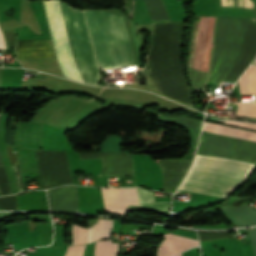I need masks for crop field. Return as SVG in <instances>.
<instances>
[{"mask_svg":"<svg viewBox=\"0 0 256 256\" xmlns=\"http://www.w3.org/2000/svg\"><path fill=\"white\" fill-rule=\"evenodd\" d=\"M118 244L111 243V240L97 241L94 256H116Z\"/></svg>","mask_w":256,"mask_h":256,"instance_id":"obj_17","label":"crop field"},{"mask_svg":"<svg viewBox=\"0 0 256 256\" xmlns=\"http://www.w3.org/2000/svg\"><path fill=\"white\" fill-rule=\"evenodd\" d=\"M232 158L256 163V143L234 139Z\"/></svg>","mask_w":256,"mask_h":256,"instance_id":"obj_13","label":"crop field"},{"mask_svg":"<svg viewBox=\"0 0 256 256\" xmlns=\"http://www.w3.org/2000/svg\"><path fill=\"white\" fill-rule=\"evenodd\" d=\"M155 161L162 170V191L174 192L184 177L192 160L164 159Z\"/></svg>","mask_w":256,"mask_h":256,"instance_id":"obj_7","label":"crop field"},{"mask_svg":"<svg viewBox=\"0 0 256 256\" xmlns=\"http://www.w3.org/2000/svg\"><path fill=\"white\" fill-rule=\"evenodd\" d=\"M164 238L158 247L157 256H172L191 247L198 246L196 240L181 236L165 234Z\"/></svg>","mask_w":256,"mask_h":256,"instance_id":"obj_11","label":"crop field"},{"mask_svg":"<svg viewBox=\"0 0 256 256\" xmlns=\"http://www.w3.org/2000/svg\"><path fill=\"white\" fill-rule=\"evenodd\" d=\"M158 119L173 121L185 126L192 134V145L196 146L202 121L189 118L183 115H162L159 114Z\"/></svg>","mask_w":256,"mask_h":256,"instance_id":"obj_12","label":"crop field"},{"mask_svg":"<svg viewBox=\"0 0 256 256\" xmlns=\"http://www.w3.org/2000/svg\"><path fill=\"white\" fill-rule=\"evenodd\" d=\"M12 170H13V174H14V178H15V182H16L18 192L22 191V190H25V188L23 186V183H22L21 175H20V172H19L18 164L13 166Z\"/></svg>","mask_w":256,"mask_h":256,"instance_id":"obj_21","label":"crop field"},{"mask_svg":"<svg viewBox=\"0 0 256 256\" xmlns=\"http://www.w3.org/2000/svg\"><path fill=\"white\" fill-rule=\"evenodd\" d=\"M2 33L5 39L7 49L14 48L16 45V36H15L14 30L11 29L7 31H3Z\"/></svg>","mask_w":256,"mask_h":256,"instance_id":"obj_20","label":"crop field"},{"mask_svg":"<svg viewBox=\"0 0 256 256\" xmlns=\"http://www.w3.org/2000/svg\"><path fill=\"white\" fill-rule=\"evenodd\" d=\"M23 194H26V192L24 191V192H22V193H19V194H17V196H21V195H23Z\"/></svg>","mask_w":256,"mask_h":256,"instance_id":"obj_26","label":"crop field"},{"mask_svg":"<svg viewBox=\"0 0 256 256\" xmlns=\"http://www.w3.org/2000/svg\"><path fill=\"white\" fill-rule=\"evenodd\" d=\"M7 151H8V154H9L11 165L13 166L14 164L17 163V157H16L17 152L13 153V149L11 147H7Z\"/></svg>","mask_w":256,"mask_h":256,"instance_id":"obj_24","label":"crop field"},{"mask_svg":"<svg viewBox=\"0 0 256 256\" xmlns=\"http://www.w3.org/2000/svg\"><path fill=\"white\" fill-rule=\"evenodd\" d=\"M4 48H6V47H5V43H4L2 33H1V30H0V49H4Z\"/></svg>","mask_w":256,"mask_h":256,"instance_id":"obj_25","label":"crop field"},{"mask_svg":"<svg viewBox=\"0 0 256 256\" xmlns=\"http://www.w3.org/2000/svg\"><path fill=\"white\" fill-rule=\"evenodd\" d=\"M256 54V19L251 18L236 62L224 80H236Z\"/></svg>","mask_w":256,"mask_h":256,"instance_id":"obj_5","label":"crop field"},{"mask_svg":"<svg viewBox=\"0 0 256 256\" xmlns=\"http://www.w3.org/2000/svg\"><path fill=\"white\" fill-rule=\"evenodd\" d=\"M85 245L81 246H69L67 253L65 256H83Z\"/></svg>","mask_w":256,"mask_h":256,"instance_id":"obj_22","label":"crop field"},{"mask_svg":"<svg viewBox=\"0 0 256 256\" xmlns=\"http://www.w3.org/2000/svg\"><path fill=\"white\" fill-rule=\"evenodd\" d=\"M231 146L232 138L202 131L197 154L230 158Z\"/></svg>","mask_w":256,"mask_h":256,"instance_id":"obj_9","label":"crop field"},{"mask_svg":"<svg viewBox=\"0 0 256 256\" xmlns=\"http://www.w3.org/2000/svg\"><path fill=\"white\" fill-rule=\"evenodd\" d=\"M196 164L250 172L253 164L197 155ZM193 164L179 189L225 197L236 189L248 173ZM248 176V175H247Z\"/></svg>","mask_w":256,"mask_h":256,"instance_id":"obj_3","label":"crop field"},{"mask_svg":"<svg viewBox=\"0 0 256 256\" xmlns=\"http://www.w3.org/2000/svg\"><path fill=\"white\" fill-rule=\"evenodd\" d=\"M18 59L55 57L50 40L18 41Z\"/></svg>","mask_w":256,"mask_h":256,"instance_id":"obj_10","label":"crop field"},{"mask_svg":"<svg viewBox=\"0 0 256 256\" xmlns=\"http://www.w3.org/2000/svg\"><path fill=\"white\" fill-rule=\"evenodd\" d=\"M100 67L136 65L121 16L84 10Z\"/></svg>","mask_w":256,"mask_h":256,"instance_id":"obj_2","label":"crop field"},{"mask_svg":"<svg viewBox=\"0 0 256 256\" xmlns=\"http://www.w3.org/2000/svg\"><path fill=\"white\" fill-rule=\"evenodd\" d=\"M203 130H208L210 132L217 133V134H226L230 136H235L239 138L256 141V133L238 129V128L227 127V126L216 125V124L205 122Z\"/></svg>","mask_w":256,"mask_h":256,"instance_id":"obj_14","label":"crop field"},{"mask_svg":"<svg viewBox=\"0 0 256 256\" xmlns=\"http://www.w3.org/2000/svg\"><path fill=\"white\" fill-rule=\"evenodd\" d=\"M105 210L127 214V205H139L136 188H101Z\"/></svg>","mask_w":256,"mask_h":256,"instance_id":"obj_6","label":"crop field"},{"mask_svg":"<svg viewBox=\"0 0 256 256\" xmlns=\"http://www.w3.org/2000/svg\"><path fill=\"white\" fill-rule=\"evenodd\" d=\"M225 123L256 130V125L255 124H248V123L229 121V120H226Z\"/></svg>","mask_w":256,"mask_h":256,"instance_id":"obj_23","label":"crop field"},{"mask_svg":"<svg viewBox=\"0 0 256 256\" xmlns=\"http://www.w3.org/2000/svg\"><path fill=\"white\" fill-rule=\"evenodd\" d=\"M238 84L240 92L256 91V66H250Z\"/></svg>","mask_w":256,"mask_h":256,"instance_id":"obj_16","label":"crop field"},{"mask_svg":"<svg viewBox=\"0 0 256 256\" xmlns=\"http://www.w3.org/2000/svg\"><path fill=\"white\" fill-rule=\"evenodd\" d=\"M236 114L243 115V116L256 117V103L255 102L239 103Z\"/></svg>","mask_w":256,"mask_h":256,"instance_id":"obj_18","label":"crop field"},{"mask_svg":"<svg viewBox=\"0 0 256 256\" xmlns=\"http://www.w3.org/2000/svg\"><path fill=\"white\" fill-rule=\"evenodd\" d=\"M56 54L65 77L99 84L100 75L82 10L43 0Z\"/></svg>","mask_w":256,"mask_h":256,"instance_id":"obj_1","label":"crop field"},{"mask_svg":"<svg viewBox=\"0 0 256 256\" xmlns=\"http://www.w3.org/2000/svg\"><path fill=\"white\" fill-rule=\"evenodd\" d=\"M177 256H181V254L177 255Z\"/></svg>","mask_w":256,"mask_h":256,"instance_id":"obj_27","label":"crop field"},{"mask_svg":"<svg viewBox=\"0 0 256 256\" xmlns=\"http://www.w3.org/2000/svg\"><path fill=\"white\" fill-rule=\"evenodd\" d=\"M250 18L218 17L210 75L207 81L219 84L233 66Z\"/></svg>","mask_w":256,"mask_h":256,"instance_id":"obj_4","label":"crop field"},{"mask_svg":"<svg viewBox=\"0 0 256 256\" xmlns=\"http://www.w3.org/2000/svg\"><path fill=\"white\" fill-rule=\"evenodd\" d=\"M216 17L202 16L196 57V69L207 71Z\"/></svg>","mask_w":256,"mask_h":256,"instance_id":"obj_8","label":"crop field"},{"mask_svg":"<svg viewBox=\"0 0 256 256\" xmlns=\"http://www.w3.org/2000/svg\"><path fill=\"white\" fill-rule=\"evenodd\" d=\"M140 205L155 206H128V210L148 208L156 211H168L170 202H154L153 192L138 189Z\"/></svg>","mask_w":256,"mask_h":256,"instance_id":"obj_15","label":"crop field"},{"mask_svg":"<svg viewBox=\"0 0 256 256\" xmlns=\"http://www.w3.org/2000/svg\"><path fill=\"white\" fill-rule=\"evenodd\" d=\"M86 232H87V229L73 224V226H72V244H85Z\"/></svg>","mask_w":256,"mask_h":256,"instance_id":"obj_19","label":"crop field"}]
</instances>
